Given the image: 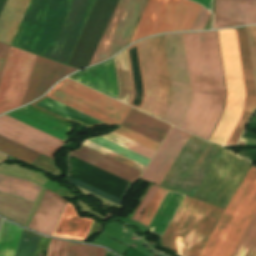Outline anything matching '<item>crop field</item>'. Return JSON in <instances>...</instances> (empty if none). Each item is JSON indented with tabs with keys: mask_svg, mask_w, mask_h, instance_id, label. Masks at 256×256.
I'll return each instance as SVG.
<instances>
[{
	"mask_svg": "<svg viewBox=\"0 0 256 256\" xmlns=\"http://www.w3.org/2000/svg\"><path fill=\"white\" fill-rule=\"evenodd\" d=\"M105 249H101L97 247L96 256H105Z\"/></svg>",
	"mask_w": 256,
	"mask_h": 256,
	"instance_id": "obj_39",
	"label": "crop field"
},
{
	"mask_svg": "<svg viewBox=\"0 0 256 256\" xmlns=\"http://www.w3.org/2000/svg\"><path fill=\"white\" fill-rule=\"evenodd\" d=\"M66 244V241L51 238L47 256H65ZM95 250V248L68 243L66 256H95Z\"/></svg>",
	"mask_w": 256,
	"mask_h": 256,
	"instance_id": "obj_29",
	"label": "crop field"
},
{
	"mask_svg": "<svg viewBox=\"0 0 256 256\" xmlns=\"http://www.w3.org/2000/svg\"><path fill=\"white\" fill-rule=\"evenodd\" d=\"M6 115L16 120H19L27 125H30L40 131H43L51 136H54L64 142L68 140L67 134L72 128H69L59 122H56L27 107H23Z\"/></svg>",
	"mask_w": 256,
	"mask_h": 256,
	"instance_id": "obj_21",
	"label": "crop field"
},
{
	"mask_svg": "<svg viewBox=\"0 0 256 256\" xmlns=\"http://www.w3.org/2000/svg\"><path fill=\"white\" fill-rule=\"evenodd\" d=\"M114 132H116V133H118V134H120V135H122L126 138H129V139H131V140H133V141H135L139 144H142V145H144V146H146V147H148V148H150L154 151H156L157 147L159 146L158 143H156V142H154V141H152V140H150V139H148V138H146L142 135H139V134L123 127V126H121L119 129H117Z\"/></svg>",
	"mask_w": 256,
	"mask_h": 256,
	"instance_id": "obj_33",
	"label": "crop field"
},
{
	"mask_svg": "<svg viewBox=\"0 0 256 256\" xmlns=\"http://www.w3.org/2000/svg\"><path fill=\"white\" fill-rule=\"evenodd\" d=\"M210 12H208L207 10H205L204 8H201L197 19L192 27L191 30H197V29H202L208 16H209Z\"/></svg>",
	"mask_w": 256,
	"mask_h": 256,
	"instance_id": "obj_35",
	"label": "crop field"
},
{
	"mask_svg": "<svg viewBox=\"0 0 256 256\" xmlns=\"http://www.w3.org/2000/svg\"><path fill=\"white\" fill-rule=\"evenodd\" d=\"M69 155L78 157L86 162H89V163H91L97 167H100L108 172H111V173H113L121 178H124L132 183H134L138 179V177L141 175V172H139L131 167H128L120 162H117L107 156H104L96 151H93L83 145L81 146L80 149L70 152ZM69 155L67 158L68 173H67L66 181H68L76 186H79L87 191H90L96 195H99L107 200H110L118 205L122 204V200H123L124 196L126 195V193L128 192V190L130 189V187L132 186V183H130V185L126 189L122 199L119 200L111 195H108L102 191H99L91 186H88L82 182H79V181L69 177V173H70V165H69L70 156Z\"/></svg>",
	"mask_w": 256,
	"mask_h": 256,
	"instance_id": "obj_13",
	"label": "crop field"
},
{
	"mask_svg": "<svg viewBox=\"0 0 256 256\" xmlns=\"http://www.w3.org/2000/svg\"><path fill=\"white\" fill-rule=\"evenodd\" d=\"M222 148L191 135L160 186L192 197ZM251 166L223 148L193 197L226 208Z\"/></svg>",
	"mask_w": 256,
	"mask_h": 256,
	"instance_id": "obj_1",
	"label": "crop field"
},
{
	"mask_svg": "<svg viewBox=\"0 0 256 256\" xmlns=\"http://www.w3.org/2000/svg\"><path fill=\"white\" fill-rule=\"evenodd\" d=\"M166 193L167 190H163L159 187L154 196L148 202L139 222L145 224L148 227L151 219L153 218Z\"/></svg>",
	"mask_w": 256,
	"mask_h": 256,
	"instance_id": "obj_32",
	"label": "crop field"
},
{
	"mask_svg": "<svg viewBox=\"0 0 256 256\" xmlns=\"http://www.w3.org/2000/svg\"><path fill=\"white\" fill-rule=\"evenodd\" d=\"M255 212L256 169L252 166L198 256H231Z\"/></svg>",
	"mask_w": 256,
	"mask_h": 256,
	"instance_id": "obj_3",
	"label": "crop field"
},
{
	"mask_svg": "<svg viewBox=\"0 0 256 256\" xmlns=\"http://www.w3.org/2000/svg\"><path fill=\"white\" fill-rule=\"evenodd\" d=\"M10 46L4 45L0 43V80L2 77V73L8 58V54L10 51Z\"/></svg>",
	"mask_w": 256,
	"mask_h": 256,
	"instance_id": "obj_36",
	"label": "crop field"
},
{
	"mask_svg": "<svg viewBox=\"0 0 256 256\" xmlns=\"http://www.w3.org/2000/svg\"><path fill=\"white\" fill-rule=\"evenodd\" d=\"M68 201L46 190L29 228L51 235Z\"/></svg>",
	"mask_w": 256,
	"mask_h": 256,
	"instance_id": "obj_19",
	"label": "crop field"
},
{
	"mask_svg": "<svg viewBox=\"0 0 256 256\" xmlns=\"http://www.w3.org/2000/svg\"><path fill=\"white\" fill-rule=\"evenodd\" d=\"M21 229L3 222L0 232V256H14L21 235ZM39 234L23 230L15 256H33Z\"/></svg>",
	"mask_w": 256,
	"mask_h": 256,
	"instance_id": "obj_18",
	"label": "crop field"
},
{
	"mask_svg": "<svg viewBox=\"0 0 256 256\" xmlns=\"http://www.w3.org/2000/svg\"><path fill=\"white\" fill-rule=\"evenodd\" d=\"M138 45L146 87L141 111L161 120L171 96L163 35L143 40Z\"/></svg>",
	"mask_w": 256,
	"mask_h": 256,
	"instance_id": "obj_5",
	"label": "crop field"
},
{
	"mask_svg": "<svg viewBox=\"0 0 256 256\" xmlns=\"http://www.w3.org/2000/svg\"><path fill=\"white\" fill-rule=\"evenodd\" d=\"M185 195L168 191L157 213L149 225L151 233L162 236Z\"/></svg>",
	"mask_w": 256,
	"mask_h": 256,
	"instance_id": "obj_26",
	"label": "crop field"
},
{
	"mask_svg": "<svg viewBox=\"0 0 256 256\" xmlns=\"http://www.w3.org/2000/svg\"><path fill=\"white\" fill-rule=\"evenodd\" d=\"M44 98H46V96H44L43 98L39 99L38 101H40V100H42V99H44ZM38 101H36V102H38ZM36 102H34V103H36ZM34 103H32L31 105H33ZM33 106H35V107H37V108H39V109H41V110H44V111H46V112H48V113H50V114H52V115H55V116H57V117H59V118L65 120V121H72V122H76V123H78V124H80V125H82V126H85V125H83V124H81V123H79V122H77V121L67 120V119H65V118H63V117H60V116H58V115H56V114H54V113H51V112H49V111H47V110H45V109H42V108H40V107H38V106H36V105H33ZM101 125H106V124H101ZM95 126H97V125H95ZM85 127H87V126H85ZM91 127H92V126H91ZM87 128H90V127H87Z\"/></svg>",
	"mask_w": 256,
	"mask_h": 256,
	"instance_id": "obj_38",
	"label": "crop field"
},
{
	"mask_svg": "<svg viewBox=\"0 0 256 256\" xmlns=\"http://www.w3.org/2000/svg\"><path fill=\"white\" fill-rule=\"evenodd\" d=\"M223 210L185 196L161 238L162 246L169 250L175 239L184 240L180 255L197 256Z\"/></svg>",
	"mask_w": 256,
	"mask_h": 256,
	"instance_id": "obj_4",
	"label": "crop field"
},
{
	"mask_svg": "<svg viewBox=\"0 0 256 256\" xmlns=\"http://www.w3.org/2000/svg\"><path fill=\"white\" fill-rule=\"evenodd\" d=\"M171 82V102L163 118L164 121L178 126L183 118L191 96L183 36L164 35Z\"/></svg>",
	"mask_w": 256,
	"mask_h": 256,
	"instance_id": "obj_9",
	"label": "crop field"
},
{
	"mask_svg": "<svg viewBox=\"0 0 256 256\" xmlns=\"http://www.w3.org/2000/svg\"><path fill=\"white\" fill-rule=\"evenodd\" d=\"M183 36L192 96L179 128L208 140L226 96L217 32Z\"/></svg>",
	"mask_w": 256,
	"mask_h": 256,
	"instance_id": "obj_2",
	"label": "crop field"
},
{
	"mask_svg": "<svg viewBox=\"0 0 256 256\" xmlns=\"http://www.w3.org/2000/svg\"><path fill=\"white\" fill-rule=\"evenodd\" d=\"M123 126L157 142H160L161 138L164 139L165 135L171 127L135 109H131L123 123Z\"/></svg>",
	"mask_w": 256,
	"mask_h": 256,
	"instance_id": "obj_22",
	"label": "crop field"
},
{
	"mask_svg": "<svg viewBox=\"0 0 256 256\" xmlns=\"http://www.w3.org/2000/svg\"><path fill=\"white\" fill-rule=\"evenodd\" d=\"M35 57L11 48L0 83V114L21 104Z\"/></svg>",
	"mask_w": 256,
	"mask_h": 256,
	"instance_id": "obj_11",
	"label": "crop field"
},
{
	"mask_svg": "<svg viewBox=\"0 0 256 256\" xmlns=\"http://www.w3.org/2000/svg\"><path fill=\"white\" fill-rule=\"evenodd\" d=\"M246 29H251L253 45H256V27L250 26V27H246ZM246 32H247V38L249 43L255 90H256V46H252L250 30H246ZM236 33H237V39H238V45H239V52H240V58H241L246 96H245L242 116L227 142L228 145H232V146L236 145L242 131L244 130L245 126L247 125L253 113L254 108H256V97H255V90H254V84H253V78H252V71H251L245 29L236 30Z\"/></svg>",
	"mask_w": 256,
	"mask_h": 256,
	"instance_id": "obj_12",
	"label": "crop field"
},
{
	"mask_svg": "<svg viewBox=\"0 0 256 256\" xmlns=\"http://www.w3.org/2000/svg\"><path fill=\"white\" fill-rule=\"evenodd\" d=\"M158 189V186H154L152 185V187L150 188V190L148 191V193L146 194V196L144 197V199L142 200V202L140 203L138 209L136 210L135 214H134V218L133 220L135 221H139L140 219V215L145 207V205L147 204V202L150 200V198L152 197V195L155 193V191Z\"/></svg>",
	"mask_w": 256,
	"mask_h": 256,
	"instance_id": "obj_34",
	"label": "crop field"
},
{
	"mask_svg": "<svg viewBox=\"0 0 256 256\" xmlns=\"http://www.w3.org/2000/svg\"><path fill=\"white\" fill-rule=\"evenodd\" d=\"M74 71L76 69L37 56L21 105L41 96L52 84Z\"/></svg>",
	"mask_w": 256,
	"mask_h": 256,
	"instance_id": "obj_16",
	"label": "crop field"
},
{
	"mask_svg": "<svg viewBox=\"0 0 256 256\" xmlns=\"http://www.w3.org/2000/svg\"><path fill=\"white\" fill-rule=\"evenodd\" d=\"M74 78L76 81L114 99L118 95L113 60L82 70L74 74Z\"/></svg>",
	"mask_w": 256,
	"mask_h": 256,
	"instance_id": "obj_20",
	"label": "crop field"
},
{
	"mask_svg": "<svg viewBox=\"0 0 256 256\" xmlns=\"http://www.w3.org/2000/svg\"><path fill=\"white\" fill-rule=\"evenodd\" d=\"M101 137H103L107 140H110V141H112L116 144H119V145H121V146H123L127 149H130V150H132L136 153H139V154H141L145 157H148L150 159H151L152 155L154 154V151H152V150H150V149H148V148H146L142 145H139V144H137V143H135V142H133L129 139H126V138H124V137H122V136H120V135H118L114 132H111V133H109L107 135H104V136H101ZM83 145H85V146H87V147H89L93 150H96V151H98V152H100L104 155H107V156H109V157H111V158H113L117 161H120V162H122V163H124L128 166H131V167H133V168H135V169H137L141 172H143V170L145 169V166L140 165V164H138V163H136L132 160H129V159H127V158H125L121 155H118V154H116V153H114L110 150H107V149H105V148H103L99 145H96V144H94V143H92L88 140H85Z\"/></svg>",
	"mask_w": 256,
	"mask_h": 256,
	"instance_id": "obj_23",
	"label": "crop field"
},
{
	"mask_svg": "<svg viewBox=\"0 0 256 256\" xmlns=\"http://www.w3.org/2000/svg\"><path fill=\"white\" fill-rule=\"evenodd\" d=\"M41 187L0 174V192L35 202Z\"/></svg>",
	"mask_w": 256,
	"mask_h": 256,
	"instance_id": "obj_27",
	"label": "crop field"
},
{
	"mask_svg": "<svg viewBox=\"0 0 256 256\" xmlns=\"http://www.w3.org/2000/svg\"><path fill=\"white\" fill-rule=\"evenodd\" d=\"M135 45H137V43L134 44V45H132V46H130V47H128V48H126L127 58H128V64H129V70H130V76H131V82H132V88H133V97H134V87H133V81H132V74H131V68H130V61H129L128 49L131 48V47H133V46H135ZM137 50H138V46H137ZM138 60H139V68H140L141 81H142V87H143V98H142V101H141V104H140L139 108H137V107L131 105V102H132L133 97H132L131 102H130L129 105L139 110L140 107H141V105H142V103H143L144 93H145L144 82H143V76H142V70H141V64H140V58H139V52H138Z\"/></svg>",
	"mask_w": 256,
	"mask_h": 256,
	"instance_id": "obj_37",
	"label": "crop field"
},
{
	"mask_svg": "<svg viewBox=\"0 0 256 256\" xmlns=\"http://www.w3.org/2000/svg\"><path fill=\"white\" fill-rule=\"evenodd\" d=\"M200 8L188 0H148L130 43L156 33L190 30Z\"/></svg>",
	"mask_w": 256,
	"mask_h": 256,
	"instance_id": "obj_7",
	"label": "crop field"
},
{
	"mask_svg": "<svg viewBox=\"0 0 256 256\" xmlns=\"http://www.w3.org/2000/svg\"><path fill=\"white\" fill-rule=\"evenodd\" d=\"M0 151L6 154H9L15 158H18L22 161H25L29 164H31L35 160V158L39 155V153L31 149H28L2 136H0Z\"/></svg>",
	"mask_w": 256,
	"mask_h": 256,
	"instance_id": "obj_31",
	"label": "crop field"
},
{
	"mask_svg": "<svg viewBox=\"0 0 256 256\" xmlns=\"http://www.w3.org/2000/svg\"><path fill=\"white\" fill-rule=\"evenodd\" d=\"M219 37L228 96L224 113L210 140L226 144L241 116L245 92L235 30L219 31Z\"/></svg>",
	"mask_w": 256,
	"mask_h": 256,
	"instance_id": "obj_6",
	"label": "crop field"
},
{
	"mask_svg": "<svg viewBox=\"0 0 256 256\" xmlns=\"http://www.w3.org/2000/svg\"><path fill=\"white\" fill-rule=\"evenodd\" d=\"M46 96L108 125L122 122L130 109L70 79L60 82Z\"/></svg>",
	"mask_w": 256,
	"mask_h": 256,
	"instance_id": "obj_8",
	"label": "crop field"
},
{
	"mask_svg": "<svg viewBox=\"0 0 256 256\" xmlns=\"http://www.w3.org/2000/svg\"><path fill=\"white\" fill-rule=\"evenodd\" d=\"M29 0H6L0 13V41L10 43Z\"/></svg>",
	"mask_w": 256,
	"mask_h": 256,
	"instance_id": "obj_25",
	"label": "crop field"
},
{
	"mask_svg": "<svg viewBox=\"0 0 256 256\" xmlns=\"http://www.w3.org/2000/svg\"><path fill=\"white\" fill-rule=\"evenodd\" d=\"M256 23V0H216L213 29Z\"/></svg>",
	"mask_w": 256,
	"mask_h": 256,
	"instance_id": "obj_17",
	"label": "crop field"
},
{
	"mask_svg": "<svg viewBox=\"0 0 256 256\" xmlns=\"http://www.w3.org/2000/svg\"><path fill=\"white\" fill-rule=\"evenodd\" d=\"M92 220L78 217L75 208L68 203L53 236L83 240Z\"/></svg>",
	"mask_w": 256,
	"mask_h": 256,
	"instance_id": "obj_24",
	"label": "crop field"
},
{
	"mask_svg": "<svg viewBox=\"0 0 256 256\" xmlns=\"http://www.w3.org/2000/svg\"><path fill=\"white\" fill-rule=\"evenodd\" d=\"M115 64L120 88L118 100L129 104L132 97V88L125 50L115 56Z\"/></svg>",
	"mask_w": 256,
	"mask_h": 256,
	"instance_id": "obj_28",
	"label": "crop field"
},
{
	"mask_svg": "<svg viewBox=\"0 0 256 256\" xmlns=\"http://www.w3.org/2000/svg\"><path fill=\"white\" fill-rule=\"evenodd\" d=\"M189 137L190 134L172 127L141 178L159 185Z\"/></svg>",
	"mask_w": 256,
	"mask_h": 256,
	"instance_id": "obj_15",
	"label": "crop field"
},
{
	"mask_svg": "<svg viewBox=\"0 0 256 256\" xmlns=\"http://www.w3.org/2000/svg\"><path fill=\"white\" fill-rule=\"evenodd\" d=\"M232 256H256V213Z\"/></svg>",
	"mask_w": 256,
	"mask_h": 256,
	"instance_id": "obj_30",
	"label": "crop field"
},
{
	"mask_svg": "<svg viewBox=\"0 0 256 256\" xmlns=\"http://www.w3.org/2000/svg\"><path fill=\"white\" fill-rule=\"evenodd\" d=\"M146 1L118 0L89 65L104 60L125 47Z\"/></svg>",
	"mask_w": 256,
	"mask_h": 256,
	"instance_id": "obj_10",
	"label": "crop field"
},
{
	"mask_svg": "<svg viewBox=\"0 0 256 256\" xmlns=\"http://www.w3.org/2000/svg\"><path fill=\"white\" fill-rule=\"evenodd\" d=\"M0 135L29 147L52 159L54 153L64 144V142L6 115L0 116Z\"/></svg>",
	"mask_w": 256,
	"mask_h": 256,
	"instance_id": "obj_14",
	"label": "crop field"
}]
</instances>
